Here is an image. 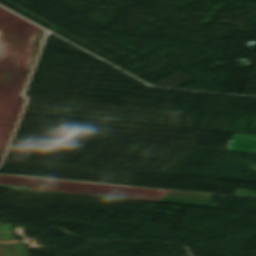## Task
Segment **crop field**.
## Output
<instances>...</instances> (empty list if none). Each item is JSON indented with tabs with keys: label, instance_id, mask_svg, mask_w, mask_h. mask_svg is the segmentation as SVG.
I'll return each instance as SVG.
<instances>
[{
	"label": "crop field",
	"instance_id": "3",
	"mask_svg": "<svg viewBox=\"0 0 256 256\" xmlns=\"http://www.w3.org/2000/svg\"><path fill=\"white\" fill-rule=\"evenodd\" d=\"M234 195L246 196V197H254V198H256L255 192H254V191H251V190L237 189Z\"/></svg>",
	"mask_w": 256,
	"mask_h": 256
},
{
	"label": "crop field",
	"instance_id": "1",
	"mask_svg": "<svg viewBox=\"0 0 256 256\" xmlns=\"http://www.w3.org/2000/svg\"><path fill=\"white\" fill-rule=\"evenodd\" d=\"M166 197L187 199V200H197V201H207V202H211L212 200V197L201 196L195 192H184V191H173Z\"/></svg>",
	"mask_w": 256,
	"mask_h": 256
},
{
	"label": "crop field",
	"instance_id": "4",
	"mask_svg": "<svg viewBox=\"0 0 256 256\" xmlns=\"http://www.w3.org/2000/svg\"><path fill=\"white\" fill-rule=\"evenodd\" d=\"M256 39V38H255Z\"/></svg>",
	"mask_w": 256,
	"mask_h": 256
},
{
	"label": "crop field",
	"instance_id": "2",
	"mask_svg": "<svg viewBox=\"0 0 256 256\" xmlns=\"http://www.w3.org/2000/svg\"><path fill=\"white\" fill-rule=\"evenodd\" d=\"M0 230L2 234L3 241H12L16 240L11 232V224L8 223H1ZM1 241V239H0Z\"/></svg>",
	"mask_w": 256,
	"mask_h": 256
}]
</instances>
